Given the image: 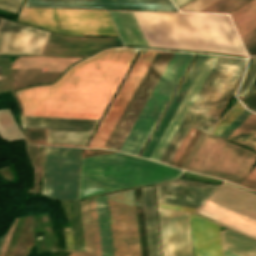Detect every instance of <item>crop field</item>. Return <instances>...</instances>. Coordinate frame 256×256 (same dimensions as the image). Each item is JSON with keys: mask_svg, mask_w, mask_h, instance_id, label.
Masks as SVG:
<instances>
[{"mask_svg": "<svg viewBox=\"0 0 256 256\" xmlns=\"http://www.w3.org/2000/svg\"><path fill=\"white\" fill-rule=\"evenodd\" d=\"M89 132L48 130L47 143L83 145Z\"/></svg>", "mask_w": 256, "mask_h": 256, "instance_id": "obj_26", "label": "crop field"}, {"mask_svg": "<svg viewBox=\"0 0 256 256\" xmlns=\"http://www.w3.org/2000/svg\"><path fill=\"white\" fill-rule=\"evenodd\" d=\"M17 21L67 35L118 36L106 11L23 8Z\"/></svg>", "mask_w": 256, "mask_h": 256, "instance_id": "obj_7", "label": "crop field"}, {"mask_svg": "<svg viewBox=\"0 0 256 256\" xmlns=\"http://www.w3.org/2000/svg\"><path fill=\"white\" fill-rule=\"evenodd\" d=\"M149 256H160L152 187L142 188Z\"/></svg>", "mask_w": 256, "mask_h": 256, "instance_id": "obj_22", "label": "crop field"}, {"mask_svg": "<svg viewBox=\"0 0 256 256\" xmlns=\"http://www.w3.org/2000/svg\"><path fill=\"white\" fill-rule=\"evenodd\" d=\"M248 0H219L201 12L228 13Z\"/></svg>", "mask_w": 256, "mask_h": 256, "instance_id": "obj_31", "label": "crop field"}, {"mask_svg": "<svg viewBox=\"0 0 256 256\" xmlns=\"http://www.w3.org/2000/svg\"><path fill=\"white\" fill-rule=\"evenodd\" d=\"M116 45L114 38L63 37L50 33L41 54L88 56Z\"/></svg>", "mask_w": 256, "mask_h": 256, "instance_id": "obj_15", "label": "crop field"}, {"mask_svg": "<svg viewBox=\"0 0 256 256\" xmlns=\"http://www.w3.org/2000/svg\"><path fill=\"white\" fill-rule=\"evenodd\" d=\"M239 185L256 191V168Z\"/></svg>", "mask_w": 256, "mask_h": 256, "instance_id": "obj_39", "label": "crop field"}, {"mask_svg": "<svg viewBox=\"0 0 256 256\" xmlns=\"http://www.w3.org/2000/svg\"><path fill=\"white\" fill-rule=\"evenodd\" d=\"M81 148L46 147L41 195L76 199Z\"/></svg>", "mask_w": 256, "mask_h": 256, "instance_id": "obj_8", "label": "crop field"}, {"mask_svg": "<svg viewBox=\"0 0 256 256\" xmlns=\"http://www.w3.org/2000/svg\"><path fill=\"white\" fill-rule=\"evenodd\" d=\"M163 256H192L187 214L160 210Z\"/></svg>", "mask_w": 256, "mask_h": 256, "instance_id": "obj_12", "label": "crop field"}, {"mask_svg": "<svg viewBox=\"0 0 256 256\" xmlns=\"http://www.w3.org/2000/svg\"><path fill=\"white\" fill-rule=\"evenodd\" d=\"M109 13L124 44L149 46L133 12Z\"/></svg>", "mask_w": 256, "mask_h": 256, "instance_id": "obj_21", "label": "crop field"}, {"mask_svg": "<svg viewBox=\"0 0 256 256\" xmlns=\"http://www.w3.org/2000/svg\"><path fill=\"white\" fill-rule=\"evenodd\" d=\"M256 130V116L251 114L228 138L243 143Z\"/></svg>", "mask_w": 256, "mask_h": 256, "instance_id": "obj_29", "label": "crop field"}, {"mask_svg": "<svg viewBox=\"0 0 256 256\" xmlns=\"http://www.w3.org/2000/svg\"><path fill=\"white\" fill-rule=\"evenodd\" d=\"M244 144L256 150V131L244 142Z\"/></svg>", "mask_w": 256, "mask_h": 256, "instance_id": "obj_41", "label": "crop field"}, {"mask_svg": "<svg viewBox=\"0 0 256 256\" xmlns=\"http://www.w3.org/2000/svg\"><path fill=\"white\" fill-rule=\"evenodd\" d=\"M195 54L174 52L119 151L138 156Z\"/></svg>", "mask_w": 256, "mask_h": 256, "instance_id": "obj_5", "label": "crop field"}, {"mask_svg": "<svg viewBox=\"0 0 256 256\" xmlns=\"http://www.w3.org/2000/svg\"><path fill=\"white\" fill-rule=\"evenodd\" d=\"M217 58L218 56L208 55L193 84L191 85L189 91L187 92L169 126L167 127L152 156L150 157V160L159 162L161 156L163 155L165 149L167 148L169 142L171 141L173 135L175 134L177 128L179 127L181 121L187 113L190 105L192 104L194 98L196 97L198 91L200 90Z\"/></svg>", "mask_w": 256, "mask_h": 256, "instance_id": "obj_16", "label": "crop field"}, {"mask_svg": "<svg viewBox=\"0 0 256 256\" xmlns=\"http://www.w3.org/2000/svg\"><path fill=\"white\" fill-rule=\"evenodd\" d=\"M230 17L239 35L256 27V0L231 13Z\"/></svg>", "mask_w": 256, "mask_h": 256, "instance_id": "obj_25", "label": "crop field"}, {"mask_svg": "<svg viewBox=\"0 0 256 256\" xmlns=\"http://www.w3.org/2000/svg\"><path fill=\"white\" fill-rule=\"evenodd\" d=\"M155 52L161 53V51L146 50L144 55L141 54L139 60L137 61L134 69L132 70L130 76L128 77V79H127L125 85L123 86L121 92L119 93L116 101L114 102L112 108L110 109L108 115L106 116L103 124L101 125L99 131L97 132L90 147L107 149V147H102V146H103L105 140L107 139L110 131L112 130L114 124L116 123L119 115L121 114L123 108L125 107L128 99L130 98L132 92L134 91L136 85L138 84L141 76L143 75L145 69L147 68V66ZM159 55L160 54L155 53L153 59L151 60L148 68L146 69L144 75L142 76V78H141L139 84L137 85L135 91L133 92L130 100L128 101L126 107L124 108L122 114L120 115L117 123L115 124L113 130L111 131L104 146H108L109 143L111 142L114 134L116 133L118 127L120 126L122 120L124 119L127 111L129 110L131 104L133 103L135 97L137 96L139 90L141 89L144 81L146 80L148 74L150 73V71H151L152 67L154 66Z\"/></svg>", "mask_w": 256, "mask_h": 256, "instance_id": "obj_10", "label": "crop field"}, {"mask_svg": "<svg viewBox=\"0 0 256 256\" xmlns=\"http://www.w3.org/2000/svg\"><path fill=\"white\" fill-rule=\"evenodd\" d=\"M218 0H193L183 7L179 8L181 11L199 12L209 5L213 4Z\"/></svg>", "mask_w": 256, "mask_h": 256, "instance_id": "obj_34", "label": "crop field"}, {"mask_svg": "<svg viewBox=\"0 0 256 256\" xmlns=\"http://www.w3.org/2000/svg\"><path fill=\"white\" fill-rule=\"evenodd\" d=\"M204 136H205V133L201 132V134H200L199 138L197 139L195 145L193 146V148H192L190 154L188 155L186 161L184 162V164H183V166H182V169H185V170H186L188 164L190 163L192 157L194 156V154H195L197 148L199 147L201 141L203 140Z\"/></svg>", "mask_w": 256, "mask_h": 256, "instance_id": "obj_40", "label": "crop field"}, {"mask_svg": "<svg viewBox=\"0 0 256 256\" xmlns=\"http://www.w3.org/2000/svg\"><path fill=\"white\" fill-rule=\"evenodd\" d=\"M181 171L116 153L83 158L78 199L120 188L156 184Z\"/></svg>", "mask_w": 256, "mask_h": 256, "instance_id": "obj_3", "label": "crop field"}, {"mask_svg": "<svg viewBox=\"0 0 256 256\" xmlns=\"http://www.w3.org/2000/svg\"><path fill=\"white\" fill-rule=\"evenodd\" d=\"M0 3L6 4V5H9V6H13V7H17V8H19V6H20V4L12 3V2H9V1H5V0H0Z\"/></svg>", "mask_w": 256, "mask_h": 256, "instance_id": "obj_44", "label": "crop field"}, {"mask_svg": "<svg viewBox=\"0 0 256 256\" xmlns=\"http://www.w3.org/2000/svg\"><path fill=\"white\" fill-rule=\"evenodd\" d=\"M24 6L176 11L169 0H26Z\"/></svg>", "mask_w": 256, "mask_h": 256, "instance_id": "obj_13", "label": "crop field"}, {"mask_svg": "<svg viewBox=\"0 0 256 256\" xmlns=\"http://www.w3.org/2000/svg\"><path fill=\"white\" fill-rule=\"evenodd\" d=\"M172 54L173 52H162L159 60L157 61L155 67L153 68L151 74L149 75L147 81L145 82L143 88L141 89L139 95L137 96L134 104L132 105L108 149L118 151L120 145L122 144L124 138L126 137L128 131L130 130L132 124L134 123L136 117L138 116L140 110L142 109L145 101L147 100Z\"/></svg>", "mask_w": 256, "mask_h": 256, "instance_id": "obj_17", "label": "crop field"}, {"mask_svg": "<svg viewBox=\"0 0 256 256\" xmlns=\"http://www.w3.org/2000/svg\"><path fill=\"white\" fill-rule=\"evenodd\" d=\"M96 254L101 256L94 198L90 199Z\"/></svg>", "mask_w": 256, "mask_h": 256, "instance_id": "obj_36", "label": "crop field"}, {"mask_svg": "<svg viewBox=\"0 0 256 256\" xmlns=\"http://www.w3.org/2000/svg\"><path fill=\"white\" fill-rule=\"evenodd\" d=\"M134 13L150 46L245 55L226 15Z\"/></svg>", "mask_w": 256, "mask_h": 256, "instance_id": "obj_1", "label": "crop field"}, {"mask_svg": "<svg viewBox=\"0 0 256 256\" xmlns=\"http://www.w3.org/2000/svg\"><path fill=\"white\" fill-rule=\"evenodd\" d=\"M242 103L250 110L256 112V86L252 91L245 97Z\"/></svg>", "mask_w": 256, "mask_h": 256, "instance_id": "obj_38", "label": "crop field"}, {"mask_svg": "<svg viewBox=\"0 0 256 256\" xmlns=\"http://www.w3.org/2000/svg\"><path fill=\"white\" fill-rule=\"evenodd\" d=\"M175 4H176V6L178 7V6H180V5H182L183 3H185V2H187V1H189V0H172ZM184 5V4H183ZM179 8V7H178Z\"/></svg>", "mask_w": 256, "mask_h": 256, "instance_id": "obj_46", "label": "crop field"}, {"mask_svg": "<svg viewBox=\"0 0 256 256\" xmlns=\"http://www.w3.org/2000/svg\"><path fill=\"white\" fill-rule=\"evenodd\" d=\"M159 207L163 208H169V209H176V210H183V211H189V212H195V209H189V208H183V207H178V206H172V205H166V204H160L158 203Z\"/></svg>", "mask_w": 256, "mask_h": 256, "instance_id": "obj_43", "label": "crop field"}, {"mask_svg": "<svg viewBox=\"0 0 256 256\" xmlns=\"http://www.w3.org/2000/svg\"><path fill=\"white\" fill-rule=\"evenodd\" d=\"M216 185L173 180L156 186L157 193L206 200Z\"/></svg>", "mask_w": 256, "mask_h": 256, "instance_id": "obj_20", "label": "crop field"}, {"mask_svg": "<svg viewBox=\"0 0 256 256\" xmlns=\"http://www.w3.org/2000/svg\"><path fill=\"white\" fill-rule=\"evenodd\" d=\"M223 254H224V256H236V255L231 254V253H229V252H226V251H224V250H223Z\"/></svg>", "mask_w": 256, "mask_h": 256, "instance_id": "obj_48", "label": "crop field"}, {"mask_svg": "<svg viewBox=\"0 0 256 256\" xmlns=\"http://www.w3.org/2000/svg\"><path fill=\"white\" fill-rule=\"evenodd\" d=\"M245 59L219 56L188 113L162 156L169 164L189 126L209 132L243 73Z\"/></svg>", "mask_w": 256, "mask_h": 256, "instance_id": "obj_4", "label": "crop field"}, {"mask_svg": "<svg viewBox=\"0 0 256 256\" xmlns=\"http://www.w3.org/2000/svg\"><path fill=\"white\" fill-rule=\"evenodd\" d=\"M0 32H45L1 20ZM49 33H0V54H40Z\"/></svg>", "mask_w": 256, "mask_h": 256, "instance_id": "obj_14", "label": "crop field"}, {"mask_svg": "<svg viewBox=\"0 0 256 256\" xmlns=\"http://www.w3.org/2000/svg\"><path fill=\"white\" fill-rule=\"evenodd\" d=\"M86 251L93 253V241L88 200L80 202Z\"/></svg>", "mask_w": 256, "mask_h": 256, "instance_id": "obj_28", "label": "crop field"}, {"mask_svg": "<svg viewBox=\"0 0 256 256\" xmlns=\"http://www.w3.org/2000/svg\"><path fill=\"white\" fill-rule=\"evenodd\" d=\"M255 159V153L206 134L187 170L237 184Z\"/></svg>", "mask_w": 256, "mask_h": 256, "instance_id": "obj_6", "label": "crop field"}, {"mask_svg": "<svg viewBox=\"0 0 256 256\" xmlns=\"http://www.w3.org/2000/svg\"><path fill=\"white\" fill-rule=\"evenodd\" d=\"M107 199L114 256H140L133 190Z\"/></svg>", "mask_w": 256, "mask_h": 256, "instance_id": "obj_9", "label": "crop field"}, {"mask_svg": "<svg viewBox=\"0 0 256 256\" xmlns=\"http://www.w3.org/2000/svg\"><path fill=\"white\" fill-rule=\"evenodd\" d=\"M157 200L161 203L185 206L198 209L201 204L204 202L202 200H195V199H188V198H181V197H174V196H167V195H160L157 194Z\"/></svg>", "mask_w": 256, "mask_h": 256, "instance_id": "obj_30", "label": "crop field"}, {"mask_svg": "<svg viewBox=\"0 0 256 256\" xmlns=\"http://www.w3.org/2000/svg\"><path fill=\"white\" fill-rule=\"evenodd\" d=\"M244 108L238 102L216 125L213 135L218 136ZM235 120V119H234ZM233 120V121H234ZM232 121V122H233Z\"/></svg>", "mask_w": 256, "mask_h": 256, "instance_id": "obj_32", "label": "crop field"}, {"mask_svg": "<svg viewBox=\"0 0 256 256\" xmlns=\"http://www.w3.org/2000/svg\"><path fill=\"white\" fill-rule=\"evenodd\" d=\"M0 137L7 141L23 138L20 129L13 120L10 109L0 111Z\"/></svg>", "mask_w": 256, "mask_h": 256, "instance_id": "obj_27", "label": "crop field"}, {"mask_svg": "<svg viewBox=\"0 0 256 256\" xmlns=\"http://www.w3.org/2000/svg\"><path fill=\"white\" fill-rule=\"evenodd\" d=\"M96 210L102 256H112L110 227L106 195L96 197Z\"/></svg>", "mask_w": 256, "mask_h": 256, "instance_id": "obj_23", "label": "crop field"}, {"mask_svg": "<svg viewBox=\"0 0 256 256\" xmlns=\"http://www.w3.org/2000/svg\"><path fill=\"white\" fill-rule=\"evenodd\" d=\"M18 97L22 102L24 115L46 116V117L99 119L100 115H91V114H102L103 110L105 109L106 105L109 102V100H100V99L57 98V97H49L48 99V97H32V96H18ZM39 109L40 111H49V112H70V113H91V114L38 112Z\"/></svg>", "mask_w": 256, "mask_h": 256, "instance_id": "obj_11", "label": "crop field"}, {"mask_svg": "<svg viewBox=\"0 0 256 256\" xmlns=\"http://www.w3.org/2000/svg\"><path fill=\"white\" fill-rule=\"evenodd\" d=\"M40 149H41L42 161H43V164H44V152H45V147L40 146Z\"/></svg>", "mask_w": 256, "mask_h": 256, "instance_id": "obj_47", "label": "crop field"}, {"mask_svg": "<svg viewBox=\"0 0 256 256\" xmlns=\"http://www.w3.org/2000/svg\"><path fill=\"white\" fill-rule=\"evenodd\" d=\"M223 249L239 256H256V242L228 230L221 232Z\"/></svg>", "mask_w": 256, "mask_h": 256, "instance_id": "obj_24", "label": "crop field"}, {"mask_svg": "<svg viewBox=\"0 0 256 256\" xmlns=\"http://www.w3.org/2000/svg\"><path fill=\"white\" fill-rule=\"evenodd\" d=\"M66 234L67 250H73L70 228H64Z\"/></svg>", "mask_w": 256, "mask_h": 256, "instance_id": "obj_42", "label": "crop field"}, {"mask_svg": "<svg viewBox=\"0 0 256 256\" xmlns=\"http://www.w3.org/2000/svg\"><path fill=\"white\" fill-rule=\"evenodd\" d=\"M137 50L112 48L72 66L52 86L29 88L17 95L111 99Z\"/></svg>", "mask_w": 256, "mask_h": 256, "instance_id": "obj_2", "label": "crop field"}, {"mask_svg": "<svg viewBox=\"0 0 256 256\" xmlns=\"http://www.w3.org/2000/svg\"><path fill=\"white\" fill-rule=\"evenodd\" d=\"M70 256H93L83 252H73Z\"/></svg>", "mask_w": 256, "mask_h": 256, "instance_id": "obj_45", "label": "crop field"}, {"mask_svg": "<svg viewBox=\"0 0 256 256\" xmlns=\"http://www.w3.org/2000/svg\"><path fill=\"white\" fill-rule=\"evenodd\" d=\"M250 114L244 109L219 136L227 138Z\"/></svg>", "mask_w": 256, "mask_h": 256, "instance_id": "obj_35", "label": "crop field"}, {"mask_svg": "<svg viewBox=\"0 0 256 256\" xmlns=\"http://www.w3.org/2000/svg\"><path fill=\"white\" fill-rule=\"evenodd\" d=\"M206 57L207 55L197 54L190 69L188 70L186 76L184 77L181 85L179 86L177 92L175 93L172 101L170 102L168 108L166 109L163 117L161 118L154 133L152 134L150 140L148 141L145 149L143 150L141 157L149 159L151 153L153 152L155 146L157 145L159 139L161 138L163 132L165 131L167 125L169 124L171 118L173 117L175 111L177 110L179 104L181 103L183 97L185 96L187 90L189 89L191 83L193 82Z\"/></svg>", "mask_w": 256, "mask_h": 256, "instance_id": "obj_19", "label": "crop field"}, {"mask_svg": "<svg viewBox=\"0 0 256 256\" xmlns=\"http://www.w3.org/2000/svg\"><path fill=\"white\" fill-rule=\"evenodd\" d=\"M194 256H222L219 225L189 214Z\"/></svg>", "mask_w": 256, "mask_h": 256, "instance_id": "obj_18", "label": "crop field"}, {"mask_svg": "<svg viewBox=\"0 0 256 256\" xmlns=\"http://www.w3.org/2000/svg\"><path fill=\"white\" fill-rule=\"evenodd\" d=\"M249 55H256V28L240 36Z\"/></svg>", "mask_w": 256, "mask_h": 256, "instance_id": "obj_33", "label": "crop field"}, {"mask_svg": "<svg viewBox=\"0 0 256 256\" xmlns=\"http://www.w3.org/2000/svg\"><path fill=\"white\" fill-rule=\"evenodd\" d=\"M193 132H194V129H192L191 127H189V129H188L186 135L184 136V138H183V140H182L180 146L178 147V149H177L175 155L173 156V158H172V160H171V162H170V165L175 166L177 160L179 159L181 153L183 152V150H184L186 144L188 143L190 137L192 136Z\"/></svg>", "mask_w": 256, "mask_h": 256, "instance_id": "obj_37", "label": "crop field"}]
</instances>
